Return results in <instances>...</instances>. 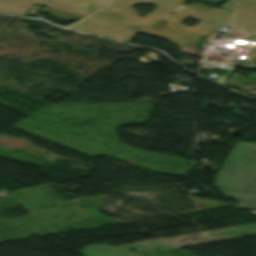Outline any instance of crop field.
I'll return each mask as SVG.
<instances>
[{"instance_id":"1","label":"crop field","mask_w":256,"mask_h":256,"mask_svg":"<svg viewBox=\"0 0 256 256\" xmlns=\"http://www.w3.org/2000/svg\"><path fill=\"white\" fill-rule=\"evenodd\" d=\"M188 0H113L99 14L71 27L129 42L148 25L164 19ZM137 2L156 4L157 8L140 18L131 7ZM221 8L232 10L225 25L235 38L256 42V0H229ZM196 50L184 48V54L194 55Z\"/></svg>"},{"instance_id":"2","label":"crop field","mask_w":256,"mask_h":256,"mask_svg":"<svg viewBox=\"0 0 256 256\" xmlns=\"http://www.w3.org/2000/svg\"><path fill=\"white\" fill-rule=\"evenodd\" d=\"M214 185L225 198H241L234 208L256 210V144L238 142Z\"/></svg>"},{"instance_id":"3","label":"crop field","mask_w":256,"mask_h":256,"mask_svg":"<svg viewBox=\"0 0 256 256\" xmlns=\"http://www.w3.org/2000/svg\"><path fill=\"white\" fill-rule=\"evenodd\" d=\"M108 0H0V12L24 15L34 4L46 5L60 20L81 19L104 7Z\"/></svg>"},{"instance_id":"4","label":"crop field","mask_w":256,"mask_h":256,"mask_svg":"<svg viewBox=\"0 0 256 256\" xmlns=\"http://www.w3.org/2000/svg\"><path fill=\"white\" fill-rule=\"evenodd\" d=\"M78 252L81 256H138L134 252L106 245L87 246Z\"/></svg>"},{"instance_id":"5","label":"crop field","mask_w":256,"mask_h":256,"mask_svg":"<svg viewBox=\"0 0 256 256\" xmlns=\"http://www.w3.org/2000/svg\"><path fill=\"white\" fill-rule=\"evenodd\" d=\"M256 65V48L250 53V55L241 64L242 68L253 69Z\"/></svg>"}]
</instances>
